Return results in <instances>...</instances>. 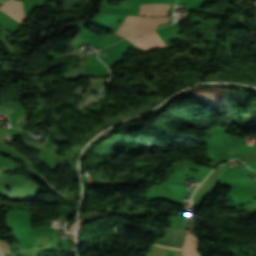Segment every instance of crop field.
Masks as SVG:
<instances>
[{
	"mask_svg": "<svg viewBox=\"0 0 256 256\" xmlns=\"http://www.w3.org/2000/svg\"><path fill=\"white\" fill-rule=\"evenodd\" d=\"M138 19H139V17L126 16L122 26L117 29L115 34L125 38L129 34V32L134 28ZM168 19L169 18H142V17H140L135 28L130 32L129 35L156 28L157 26L155 24L166 22V21H168Z\"/></svg>",
	"mask_w": 256,
	"mask_h": 256,
	"instance_id": "crop-field-1",
	"label": "crop field"
},
{
	"mask_svg": "<svg viewBox=\"0 0 256 256\" xmlns=\"http://www.w3.org/2000/svg\"><path fill=\"white\" fill-rule=\"evenodd\" d=\"M127 40L134 43L136 46L147 49L152 46L154 47H167V45L156 35L155 31H149L134 35Z\"/></svg>",
	"mask_w": 256,
	"mask_h": 256,
	"instance_id": "crop-field-2",
	"label": "crop field"
},
{
	"mask_svg": "<svg viewBox=\"0 0 256 256\" xmlns=\"http://www.w3.org/2000/svg\"><path fill=\"white\" fill-rule=\"evenodd\" d=\"M0 10L8 14L10 17L15 19L17 22L21 23L24 21L25 17L23 14L22 2L12 0L5 3L0 7Z\"/></svg>",
	"mask_w": 256,
	"mask_h": 256,
	"instance_id": "crop-field-3",
	"label": "crop field"
},
{
	"mask_svg": "<svg viewBox=\"0 0 256 256\" xmlns=\"http://www.w3.org/2000/svg\"><path fill=\"white\" fill-rule=\"evenodd\" d=\"M170 5L146 4L140 5L139 15H166Z\"/></svg>",
	"mask_w": 256,
	"mask_h": 256,
	"instance_id": "crop-field-4",
	"label": "crop field"
},
{
	"mask_svg": "<svg viewBox=\"0 0 256 256\" xmlns=\"http://www.w3.org/2000/svg\"><path fill=\"white\" fill-rule=\"evenodd\" d=\"M256 6V2L253 3Z\"/></svg>",
	"mask_w": 256,
	"mask_h": 256,
	"instance_id": "crop-field-5",
	"label": "crop field"
}]
</instances>
